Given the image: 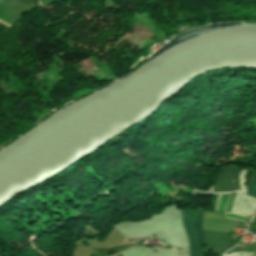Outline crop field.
Listing matches in <instances>:
<instances>
[{"mask_svg":"<svg viewBox=\"0 0 256 256\" xmlns=\"http://www.w3.org/2000/svg\"><path fill=\"white\" fill-rule=\"evenodd\" d=\"M203 213L194 212L193 226L196 235V256H202L201 245L203 241V232L201 230ZM183 224L187 232L190 243V256H195V236L192 226L193 212H182Z\"/></svg>","mask_w":256,"mask_h":256,"instance_id":"crop-field-1","label":"crop field"},{"mask_svg":"<svg viewBox=\"0 0 256 256\" xmlns=\"http://www.w3.org/2000/svg\"><path fill=\"white\" fill-rule=\"evenodd\" d=\"M231 174L232 167L221 168L219 177L213 185V192L233 191Z\"/></svg>","mask_w":256,"mask_h":256,"instance_id":"crop-field-2","label":"crop field"},{"mask_svg":"<svg viewBox=\"0 0 256 256\" xmlns=\"http://www.w3.org/2000/svg\"><path fill=\"white\" fill-rule=\"evenodd\" d=\"M247 184H248V190L246 194L256 198V181L247 182Z\"/></svg>","mask_w":256,"mask_h":256,"instance_id":"crop-field-3","label":"crop field"},{"mask_svg":"<svg viewBox=\"0 0 256 256\" xmlns=\"http://www.w3.org/2000/svg\"><path fill=\"white\" fill-rule=\"evenodd\" d=\"M5 3H28L35 4V0H2Z\"/></svg>","mask_w":256,"mask_h":256,"instance_id":"crop-field-4","label":"crop field"},{"mask_svg":"<svg viewBox=\"0 0 256 256\" xmlns=\"http://www.w3.org/2000/svg\"><path fill=\"white\" fill-rule=\"evenodd\" d=\"M227 196L228 195H222L221 196V199H220V202H219L218 212H222V213L224 212V206H225V203H226Z\"/></svg>","mask_w":256,"mask_h":256,"instance_id":"crop-field-5","label":"crop field"},{"mask_svg":"<svg viewBox=\"0 0 256 256\" xmlns=\"http://www.w3.org/2000/svg\"><path fill=\"white\" fill-rule=\"evenodd\" d=\"M226 217L232 218V219H237V220H241V221H245L246 218L244 217H240V216H236V215H232V214H228L226 213Z\"/></svg>","mask_w":256,"mask_h":256,"instance_id":"crop-field-6","label":"crop field"},{"mask_svg":"<svg viewBox=\"0 0 256 256\" xmlns=\"http://www.w3.org/2000/svg\"><path fill=\"white\" fill-rule=\"evenodd\" d=\"M0 22H1L2 24H4V25L8 26V27H12V26H10V25H8V24L2 22V21H0Z\"/></svg>","mask_w":256,"mask_h":256,"instance_id":"crop-field-7","label":"crop field"}]
</instances>
